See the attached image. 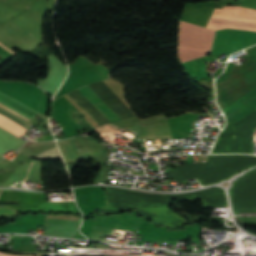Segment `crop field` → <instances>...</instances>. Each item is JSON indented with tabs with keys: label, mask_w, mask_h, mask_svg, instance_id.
Returning <instances> with one entry per match:
<instances>
[{
	"label": "crop field",
	"mask_w": 256,
	"mask_h": 256,
	"mask_svg": "<svg viewBox=\"0 0 256 256\" xmlns=\"http://www.w3.org/2000/svg\"><path fill=\"white\" fill-rule=\"evenodd\" d=\"M252 127H256V109L226 124L211 153H253Z\"/></svg>",
	"instance_id": "412701ff"
},
{
	"label": "crop field",
	"mask_w": 256,
	"mask_h": 256,
	"mask_svg": "<svg viewBox=\"0 0 256 256\" xmlns=\"http://www.w3.org/2000/svg\"><path fill=\"white\" fill-rule=\"evenodd\" d=\"M0 256H18V255H8L0 252Z\"/></svg>",
	"instance_id": "3316defc"
},
{
	"label": "crop field",
	"mask_w": 256,
	"mask_h": 256,
	"mask_svg": "<svg viewBox=\"0 0 256 256\" xmlns=\"http://www.w3.org/2000/svg\"><path fill=\"white\" fill-rule=\"evenodd\" d=\"M254 44H256V32L231 29L218 30L215 33L211 52L229 55Z\"/></svg>",
	"instance_id": "dd49c442"
},
{
	"label": "crop field",
	"mask_w": 256,
	"mask_h": 256,
	"mask_svg": "<svg viewBox=\"0 0 256 256\" xmlns=\"http://www.w3.org/2000/svg\"><path fill=\"white\" fill-rule=\"evenodd\" d=\"M107 207L98 209L100 214L114 213L137 208L140 213L153 221L179 228L185 224V219L167 209L169 203L181 200L199 198L203 206H226L225 193L221 187L183 194L155 195L124 190L117 187H105Z\"/></svg>",
	"instance_id": "8a807250"
},
{
	"label": "crop field",
	"mask_w": 256,
	"mask_h": 256,
	"mask_svg": "<svg viewBox=\"0 0 256 256\" xmlns=\"http://www.w3.org/2000/svg\"><path fill=\"white\" fill-rule=\"evenodd\" d=\"M59 144L61 146V149L63 151L66 161L67 162L76 161V157H75L74 153L72 152L70 146L68 145L67 141L60 142ZM59 144H58V146H59ZM60 146H59V148H60Z\"/></svg>",
	"instance_id": "d8731c3e"
},
{
	"label": "crop field",
	"mask_w": 256,
	"mask_h": 256,
	"mask_svg": "<svg viewBox=\"0 0 256 256\" xmlns=\"http://www.w3.org/2000/svg\"><path fill=\"white\" fill-rule=\"evenodd\" d=\"M210 162L190 163L185 167L172 168L175 181L185 183L184 179L197 178L202 185L216 183L231 175L256 165L252 155H209Z\"/></svg>",
	"instance_id": "34b2d1b8"
},
{
	"label": "crop field",
	"mask_w": 256,
	"mask_h": 256,
	"mask_svg": "<svg viewBox=\"0 0 256 256\" xmlns=\"http://www.w3.org/2000/svg\"><path fill=\"white\" fill-rule=\"evenodd\" d=\"M0 46L3 47L5 50H7L8 52L14 54V52H12L10 49H8L7 47H5L3 44L0 43Z\"/></svg>",
	"instance_id": "5a996713"
},
{
	"label": "crop field",
	"mask_w": 256,
	"mask_h": 256,
	"mask_svg": "<svg viewBox=\"0 0 256 256\" xmlns=\"http://www.w3.org/2000/svg\"><path fill=\"white\" fill-rule=\"evenodd\" d=\"M241 65L234 64L231 71L216 84L217 103L228 122H234L256 108V46Z\"/></svg>",
	"instance_id": "ac0d7876"
},
{
	"label": "crop field",
	"mask_w": 256,
	"mask_h": 256,
	"mask_svg": "<svg viewBox=\"0 0 256 256\" xmlns=\"http://www.w3.org/2000/svg\"><path fill=\"white\" fill-rule=\"evenodd\" d=\"M0 105L9 109V110H11V111H13L14 113L18 114L19 116L23 117L24 119H26L28 121L31 119V118H29V117L15 111V110L11 109V108H9V107L1 104V103H0ZM0 112L4 115L8 116L9 118L15 120L16 122L22 124L23 126L29 128V129L31 128L27 125L29 122L25 121L24 119L17 116L16 114H14V113H12V112H10V111L2 108V107H0ZM1 113H0V127L6 129L7 131L11 132L12 134H14L18 137L29 130V129L23 127L22 125L16 123L15 121L9 119L8 117L2 115Z\"/></svg>",
	"instance_id": "e52e79f7"
},
{
	"label": "crop field",
	"mask_w": 256,
	"mask_h": 256,
	"mask_svg": "<svg viewBox=\"0 0 256 256\" xmlns=\"http://www.w3.org/2000/svg\"><path fill=\"white\" fill-rule=\"evenodd\" d=\"M229 193L234 213H256V169L237 178Z\"/></svg>",
	"instance_id": "f4fd0767"
}]
</instances>
